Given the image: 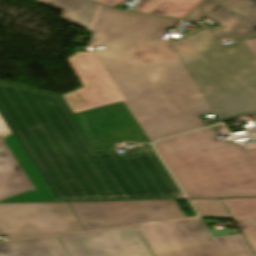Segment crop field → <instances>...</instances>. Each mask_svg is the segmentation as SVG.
<instances>
[{"label": "crop field", "mask_w": 256, "mask_h": 256, "mask_svg": "<svg viewBox=\"0 0 256 256\" xmlns=\"http://www.w3.org/2000/svg\"><path fill=\"white\" fill-rule=\"evenodd\" d=\"M10 130L8 129L7 125L5 122L2 120L0 117V140L5 137L6 135L10 134Z\"/></svg>", "instance_id": "4a817a6b"}, {"label": "crop field", "mask_w": 256, "mask_h": 256, "mask_svg": "<svg viewBox=\"0 0 256 256\" xmlns=\"http://www.w3.org/2000/svg\"><path fill=\"white\" fill-rule=\"evenodd\" d=\"M235 222L256 253V222L237 220Z\"/></svg>", "instance_id": "733c2abd"}, {"label": "crop field", "mask_w": 256, "mask_h": 256, "mask_svg": "<svg viewBox=\"0 0 256 256\" xmlns=\"http://www.w3.org/2000/svg\"><path fill=\"white\" fill-rule=\"evenodd\" d=\"M178 21L100 7L92 47L78 53H117L237 93L256 84V36L223 45L204 27L160 39Z\"/></svg>", "instance_id": "34b2d1b8"}, {"label": "crop field", "mask_w": 256, "mask_h": 256, "mask_svg": "<svg viewBox=\"0 0 256 256\" xmlns=\"http://www.w3.org/2000/svg\"><path fill=\"white\" fill-rule=\"evenodd\" d=\"M252 89H253L254 92L256 93V85L252 86Z\"/></svg>", "instance_id": "bc2a9ffb"}, {"label": "crop field", "mask_w": 256, "mask_h": 256, "mask_svg": "<svg viewBox=\"0 0 256 256\" xmlns=\"http://www.w3.org/2000/svg\"><path fill=\"white\" fill-rule=\"evenodd\" d=\"M0 256H68V254L57 236H54L0 243Z\"/></svg>", "instance_id": "22f410ed"}, {"label": "crop field", "mask_w": 256, "mask_h": 256, "mask_svg": "<svg viewBox=\"0 0 256 256\" xmlns=\"http://www.w3.org/2000/svg\"><path fill=\"white\" fill-rule=\"evenodd\" d=\"M204 15L218 20L222 27L212 31L222 38L256 33V0H204L184 19L197 21Z\"/></svg>", "instance_id": "28ad6ade"}, {"label": "crop field", "mask_w": 256, "mask_h": 256, "mask_svg": "<svg viewBox=\"0 0 256 256\" xmlns=\"http://www.w3.org/2000/svg\"><path fill=\"white\" fill-rule=\"evenodd\" d=\"M221 126L153 145L188 198L256 197V149L215 139Z\"/></svg>", "instance_id": "412701ff"}, {"label": "crop field", "mask_w": 256, "mask_h": 256, "mask_svg": "<svg viewBox=\"0 0 256 256\" xmlns=\"http://www.w3.org/2000/svg\"><path fill=\"white\" fill-rule=\"evenodd\" d=\"M81 230L67 202L0 204V235L10 240Z\"/></svg>", "instance_id": "e52e79f7"}, {"label": "crop field", "mask_w": 256, "mask_h": 256, "mask_svg": "<svg viewBox=\"0 0 256 256\" xmlns=\"http://www.w3.org/2000/svg\"><path fill=\"white\" fill-rule=\"evenodd\" d=\"M67 59L83 87L62 95L73 114L123 101L150 142L205 127L201 114L219 122L256 114L250 88L234 94L117 54Z\"/></svg>", "instance_id": "ac0d7876"}, {"label": "crop field", "mask_w": 256, "mask_h": 256, "mask_svg": "<svg viewBox=\"0 0 256 256\" xmlns=\"http://www.w3.org/2000/svg\"><path fill=\"white\" fill-rule=\"evenodd\" d=\"M138 227L155 256H254L242 234L212 238L201 218Z\"/></svg>", "instance_id": "f4fd0767"}, {"label": "crop field", "mask_w": 256, "mask_h": 256, "mask_svg": "<svg viewBox=\"0 0 256 256\" xmlns=\"http://www.w3.org/2000/svg\"><path fill=\"white\" fill-rule=\"evenodd\" d=\"M235 218L256 219V198L222 199Z\"/></svg>", "instance_id": "5142ce71"}, {"label": "crop field", "mask_w": 256, "mask_h": 256, "mask_svg": "<svg viewBox=\"0 0 256 256\" xmlns=\"http://www.w3.org/2000/svg\"><path fill=\"white\" fill-rule=\"evenodd\" d=\"M255 119H256V116H255Z\"/></svg>", "instance_id": "92a150f3"}, {"label": "crop field", "mask_w": 256, "mask_h": 256, "mask_svg": "<svg viewBox=\"0 0 256 256\" xmlns=\"http://www.w3.org/2000/svg\"><path fill=\"white\" fill-rule=\"evenodd\" d=\"M201 216L230 217L220 199L190 200Z\"/></svg>", "instance_id": "d9b57169"}, {"label": "crop field", "mask_w": 256, "mask_h": 256, "mask_svg": "<svg viewBox=\"0 0 256 256\" xmlns=\"http://www.w3.org/2000/svg\"><path fill=\"white\" fill-rule=\"evenodd\" d=\"M55 201L12 133L0 141V202Z\"/></svg>", "instance_id": "d8731c3e"}, {"label": "crop field", "mask_w": 256, "mask_h": 256, "mask_svg": "<svg viewBox=\"0 0 256 256\" xmlns=\"http://www.w3.org/2000/svg\"><path fill=\"white\" fill-rule=\"evenodd\" d=\"M70 256H152L135 227L59 236Z\"/></svg>", "instance_id": "5a996713"}, {"label": "crop field", "mask_w": 256, "mask_h": 256, "mask_svg": "<svg viewBox=\"0 0 256 256\" xmlns=\"http://www.w3.org/2000/svg\"><path fill=\"white\" fill-rule=\"evenodd\" d=\"M0 115L56 201L184 198L153 151L95 153L60 95L0 81Z\"/></svg>", "instance_id": "8a807250"}, {"label": "crop field", "mask_w": 256, "mask_h": 256, "mask_svg": "<svg viewBox=\"0 0 256 256\" xmlns=\"http://www.w3.org/2000/svg\"><path fill=\"white\" fill-rule=\"evenodd\" d=\"M108 6L120 5L128 0H91ZM203 0H141L134 11L183 19Z\"/></svg>", "instance_id": "d1516ede"}, {"label": "crop field", "mask_w": 256, "mask_h": 256, "mask_svg": "<svg viewBox=\"0 0 256 256\" xmlns=\"http://www.w3.org/2000/svg\"><path fill=\"white\" fill-rule=\"evenodd\" d=\"M49 6L63 11L62 19L90 29L94 14L98 8L97 5L80 0H52L44 2Z\"/></svg>", "instance_id": "cbeb9de0"}, {"label": "crop field", "mask_w": 256, "mask_h": 256, "mask_svg": "<svg viewBox=\"0 0 256 256\" xmlns=\"http://www.w3.org/2000/svg\"><path fill=\"white\" fill-rule=\"evenodd\" d=\"M74 117L95 151L113 148L115 141H146L122 103L76 114Z\"/></svg>", "instance_id": "3316defc"}, {"label": "crop field", "mask_w": 256, "mask_h": 256, "mask_svg": "<svg viewBox=\"0 0 256 256\" xmlns=\"http://www.w3.org/2000/svg\"><path fill=\"white\" fill-rule=\"evenodd\" d=\"M84 230L185 217L176 200L68 202Z\"/></svg>", "instance_id": "dd49c442"}, {"label": "crop field", "mask_w": 256, "mask_h": 256, "mask_svg": "<svg viewBox=\"0 0 256 256\" xmlns=\"http://www.w3.org/2000/svg\"><path fill=\"white\" fill-rule=\"evenodd\" d=\"M36 1L41 3V2H44V1H48V0H36Z\"/></svg>", "instance_id": "214f88e0"}]
</instances>
